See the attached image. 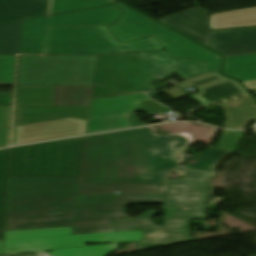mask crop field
<instances>
[{"label": "crop field", "instance_id": "8a807250", "mask_svg": "<svg viewBox=\"0 0 256 256\" xmlns=\"http://www.w3.org/2000/svg\"><path fill=\"white\" fill-rule=\"evenodd\" d=\"M187 144L181 136H152L149 127L87 137L79 184L164 183L167 169L179 166L175 151Z\"/></svg>", "mask_w": 256, "mask_h": 256}, {"label": "crop field", "instance_id": "ac0d7876", "mask_svg": "<svg viewBox=\"0 0 256 256\" xmlns=\"http://www.w3.org/2000/svg\"><path fill=\"white\" fill-rule=\"evenodd\" d=\"M78 181L10 177L6 231L72 226Z\"/></svg>", "mask_w": 256, "mask_h": 256}, {"label": "crop field", "instance_id": "34b2d1b8", "mask_svg": "<svg viewBox=\"0 0 256 256\" xmlns=\"http://www.w3.org/2000/svg\"><path fill=\"white\" fill-rule=\"evenodd\" d=\"M174 72L186 80L208 71L202 62L173 59L164 50L101 55L95 79L122 95L156 90L151 81L167 79Z\"/></svg>", "mask_w": 256, "mask_h": 256}, {"label": "crop field", "instance_id": "412701ff", "mask_svg": "<svg viewBox=\"0 0 256 256\" xmlns=\"http://www.w3.org/2000/svg\"><path fill=\"white\" fill-rule=\"evenodd\" d=\"M162 49L153 37L119 44L106 26L46 27L42 54L98 56Z\"/></svg>", "mask_w": 256, "mask_h": 256}, {"label": "crop field", "instance_id": "f4fd0767", "mask_svg": "<svg viewBox=\"0 0 256 256\" xmlns=\"http://www.w3.org/2000/svg\"><path fill=\"white\" fill-rule=\"evenodd\" d=\"M84 140L14 148L10 176L79 177ZM30 157L32 160H27Z\"/></svg>", "mask_w": 256, "mask_h": 256}, {"label": "crop field", "instance_id": "dd49c442", "mask_svg": "<svg viewBox=\"0 0 256 256\" xmlns=\"http://www.w3.org/2000/svg\"><path fill=\"white\" fill-rule=\"evenodd\" d=\"M124 12L117 24L107 26L120 43L154 36L173 58H191L206 64L209 72H219L221 57L170 29L121 5Z\"/></svg>", "mask_w": 256, "mask_h": 256}, {"label": "crop field", "instance_id": "e52e79f7", "mask_svg": "<svg viewBox=\"0 0 256 256\" xmlns=\"http://www.w3.org/2000/svg\"><path fill=\"white\" fill-rule=\"evenodd\" d=\"M97 57L20 56L18 85H92Z\"/></svg>", "mask_w": 256, "mask_h": 256}, {"label": "crop field", "instance_id": "d8731c3e", "mask_svg": "<svg viewBox=\"0 0 256 256\" xmlns=\"http://www.w3.org/2000/svg\"><path fill=\"white\" fill-rule=\"evenodd\" d=\"M72 227L5 232L4 254L87 246L88 242L123 243L142 239L140 231L70 236ZM9 250L15 252L6 253Z\"/></svg>", "mask_w": 256, "mask_h": 256}, {"label": "crop field", "instance_id": "5a996713", "mask_svg": "<svg viewBox=\"0 0 256 256\" xmlns=\"http://www.w3.org/2000/svg\"><path fill=\"white\" fill-rule=\"evenodd\" d=\"M92 86H17L16 105L90 106Z\"/></svg>", "mask_w": 256, "mask_h": 256}, {"label": "crop field", "instance_id": "3316defc", "mask_svg": "<svg viewBox=\"0 0 256 256\" xmlns=\"http://www.w3.org/2000/svg\"><path fill=\"white\" fill-rule=\"evenodd\" d=\"M88 121L66 118L15 127L13 145L86 134Z\"/></svg>", "mask_w": 256, "mask_h": 256}, {"label": "crop field", "instance_id": "28ad6ade", "mask_svg": "<svg viewBox=\"0 0 256 256\" xmlns=\"http://www.w3.org/2000/svg\"><path fill=\"white\" fill-rule=\"evenodd\" d=\"M183 89L194 86L201 93L193 95L203 105L247 94L236 81L227 79L219 73H207L178 83Z\"/></svg>", "mask_w": 256, "mask_h": 256}, {"label": "crop field", "instance_id": "d1516ede", "mask_svg": "<svg viewBox=\"0 0 256 256\" xmlns=\"http://www.w3.org/2000/svg\"><path fill=\"white\" fill-rule=\"evenodd\" d=\"M183 178L169 180L164 201L206 203L207 184L205 173L174 171Z\"/></svg>", "mask_w": 256, "mask_h": 256}, {"label": "crop field", "instance_id": "22f410ed", "mask_svg": "<svg viewBox=\"0 0 256 256\" xmlns=\"http://www.w3.org/2000/svg\"><path fill=\"white\" fill-rule=\"evenodd\" d=\"M158 21L209 47L208 11L197 7Z\"/></svg>", "mask_w": 256, "mask_h": 256}, {"label": "crop field", "instance_id": "cbeb9de0", "mask_svg": "<svg viewBox=\"0 0 256 256\" xmlns=\"http://www.w3.org/2000/svg\"><path fill=\"white\" fill-rule=\"evenodd\" d=\"M141 232L138 250L193 241L190 220H164V229Z\"/></svg>", "mask_w": 256, "mask_h": 256}, {"label": "crop field", "instance_id": "5142ce71", "mask_svg": "<svg viewBox=\"0 0 256 256\" xmlns=\"http://www.w3.org/2000/svg\"><path fill=\"white\" fill-rule=\"evenodd\" d=\"M90 107H33L17 106L15 126L76 117L88 120Z\"/></svg>", "mask_w": 256, "mask_h": 256}, {"label": "crop field", "instance_id": "d9b57169", "mask_svg": "<svg viewBox=\"0 0 256 256\" xmlns=\"http://www.w3.org/2000/svg\"><path fill=\"white\" fill-rule=\"evenodd\" d=\"M121 9L116 6L75 12L47 19L46 26H73V25H109L116 23Z\"/></svg>", "mask_w": 256, "mask_h": 256}, {"label": "crop field", "instance_id": "733c2abd", "mask_svg": "<svg viewBox=\"0 0 256 256\" xmlns=\"http://www.w3.org/2000/svg\"><path fill=\"white\" fill-rule=\"evenodd\" d=\"M211 45L224 56L256 53V30L211 35Z\"/></svg>", "mask_w": 256, "mask_h": 256}, {"label": "crop field", "instance_id": "4a817a6b", "mask_svg": "<svg viewBox=\"0 0 256 256\" xmlns=\"http://www.w3.org/2000/svg\"><path fill=\"white\" fill-rule=\"evenodd\" d=\"M145 100L150 98L144 94L93 100L90 120L133 113L137 109L136 103Z\"/></svg>", "mask_w": 256, "mask_h": 256}, {"label": "crop field", "instance_id": "bc2a9ffb", "mask_svg": "<svg viewBox=\"0 0 256 256\" xmlns=\"http://www.w3.org/2000/svg\"><path fill=\"white\" fill-rule=\"evenodd\" d=\"M227 121L223 127L234 129H245L250 121L256 120V101L249 95L223 104Z\"/></svg>", "mask_w": 256, "mask_h": 256}, {"label": "crop field", "instance_id": "214f88e0", "mask_svg": "<svg viewBox=\"0 0 256 256\" xmlns=\"http://www.w3.org/2000/svg\"><path fill=\"white\" fill-rule=\"evenodd\" d=\"M48 3L38 0H0V23L47 15Z\"/></svg>", "mask_w": 256, "mask_h": 256}, {"label": "crop field", "instance_id": "92a150f3", "mask_svg": "<svg viewBox=\"0 0 256 256\" xmlns=\"http://www.w3.org/2000/svg\"><path fill=\"white\" fill-rule=\"evenodd\" d=\"M46 19L47 17L24 21L21 53L41 54Z\"/></svg>", "mask_w": 256, "mask_h": 256}, {"label": "crop field", "instance_id": "dafd665d", "mask_svg": "<svg viewBox=\"0 0 256 256\" xmlns=\"http://www.w3.org/2000/svg\"><path fill=\"white\" fill-rule=\"evenodd\" d=\"M224 74L240 81L256 79V54L225 57Z\"/></svg>", "mask_w": 256, "mask_h": 256}, {"label": "crop field", "instance_id": "00972430", "mask_svg": "<svg viewBox=\"0 0 256 256\" xmlns=\"http://www.w3.org/2000/svg\"><path fill=\"white\" fill-rule=\"evenodd\" d=\"M256 26V7L211 16V29Z\"/></svg>", "mask_w": 256, "mask_h": 256}, {"label": "crop field", "instance_id": "a9b5d70f", "mask_svg": "<svg viewBox=\"0 0 256 256\" xmlns=\"http://www.w3.org/2000/svg\"><path fill=\"white\" fill-rule=\"evenodd\" d=\"M145 124V122H143L134 114L108 117L89 121L87 134L127 127L142 126Z\"/></svg>", "mask_w": 256, "mask_h": 256}, {"label": "crop field", "instance_id": "4177f3b9", "mask_svg": "<svg viewBox=\"0 0 256 256\" xmlns=\"http://www.w3.org/2000/svg\"><path fill=\"white\" fill-rule=\"evenodd\" d=\"M164 218H206V204L163 202Z\"/></svg>", "mask_w": 256, "mask_h": 256}, {"label": "crop field", "instance_id": "730fd06b", "mask_svg": "<svg viewBox=\"0 0 256 256\" xmlns=\"http://www.w3.org/2000/svg\"><path fill=\"white\" fill-rule=\"evenodd\" d=\"M20 22L0 25V54L17 55L19 53Z\"/></svg>", "mask_w": 256, "mask_h": 256}, {"label": "crop field", "instance_id": "eef30255", "mask_svg": "<svg viewBox=\"0 0 256 256\" xmlns=\"http://www.w3.org/2000/svg\"><path fill=\"white\" fill-rule=\"evenodd\" d=\"M126 206H108L76 209L74 221L100 220L124 217Z\"/></svg>", "mask_w": 256, "mask_h": 256}, {"label": "crop field", "instance_id": "ae1a2a85", "mask_svg": "<svg viewBox=\"0 0 256 256\" xmlns=\"http://www.w3.org/2000/svg\"><path fill=\"white\" fill-rule=\"evenodd\" d=\"M114 2H116V0H52L49 15L106 6Z\"/></svg>", "mask_w": 256, "mask_h": 256}, {"label": "crop field", "instance_id": "d3111659", "mask_svg": "<svg viewBox=\"0 0 256 256\" xmlns=\"http://www.w3.org/2000/svg\"><path fill=\"white\" fill-rule=\"evenodd\" d=\"M10 149L0 151V239H3L5 199L9 171Z\"/></svg>", "mask_w": 256, "mask_h": 256}, {"label": "crop field", "instance_id": "750c4746", "mask_svg": "<svg viewBox=\"0 0 256 256\" xmlns=\"http://www.w3.org/2000/svg\"><path fill=\"white\" fill-rule=\"evenodd\" d=\"M118 244L52 250L51 256H106L117 250Z\"/></svg>", "mask_w": 256, "mask_h": 256}, {"label": "crop field", "instance_id": "bd1437ed", "mask_svg": "<svg viewBox=\"0 0 256 256\" xmlns=\"http://www.w3.org/2000/svg\"><path fill=\"white\" fill-rule=\"evenodd\" d=\"M228 152L217 148L206 150L197 160L190 161L185 168L216 172L212 169Z\"/></svg>", "mask_w": 256, "mask_h": 256}, {"label": "crop field", "instance_id": "1d83c4d3", "mask_svg": "<svg viewBox=\"0 0 256 256\" xmlns=\"http://www.w3.org/2000/svg\"><path fill=\"white\" fill-rule=\"evenodd\" d=\"M115 232L114 220L74 223L71 235Z\"/></svg>", "mask_w": 256, "mask_h": 256}, {"label": "crop field", "instance_id": "120bbe31", "mask_svg": "<svg viewBox=\"0 0 256 256\" xmlns=\"http://www.w3.org/2000/svg\"><path fill=\"white\" fill-rule=\"evenodd\" d=\"M163 195L164 193H119L116 194L115 205L160 202Z\"/></svg>", "mask_w": 256, "mask_h": 256}, {"label": "crop field", "instance_id": "d32e631a", "mask_svg": "<svg viewBox=\"0 0 256 256\" xmlns=\"http://www.w3.org/2000/svg\"><path fill=\"white\" fill-rule=\"evenodd\" d=\"M115 194L77 196L76 208L114 205Z\"/></svg>", "mask_w": 256, "mask_h": 256}, {"label": "crop field", "instance_id": "5866460e", "mask_svg": "<svg viewBox=\"0 0 256 256\" xmlns=\"http://www.w3.org/2000/svg\"><path fill=\"white\" fill-rule=\"evenodd\" d=\"M16 56L0 55V85H13Z\"/></svg>", "mask_w": 256, "mask_h": 256}, {"label": "crop field", "instance_id": "028f5c9d", "mask_svg": "<svg viewBox=\"0 0 256 256\" xmlns=\"http://www.w3.org/2000/svg\"><path fill=\"white\" fill-rule=\"evenodd\" d=\"M244 132H232L224 131L217 148L223 149L228 152H233L236 150L240 137L245 136Z\"/></svg>", "mask_w": 256, "mask_h": 256}, {"label": "crop field", "instance_id": "e1f06a70", "mask_svg": "<svg viewBox=\"0 0 256 256\" xmlns=\"http://www.w3.org/2000/svg\"><path fill=\"white\" fill-rule=\"evenodd\" d=\"M116 231H131L136 229H159L150 220L115 222Z\"/></svg>", "mask_w": 256, "mask_h": 256}, {"label": "crop field", "instance_id": "0bd39190", "mask_svg": "<svg viewBox=\"0 0 256 256\" xmlns=\"http://www.w3.org/2000/svg\"><path fill=\"white\" fill-rule=\"evenodd\" d=\"M117 188L118 186L79 185L78 194L113 192Z\"/></svg>", "mask_w": 256, "mask_h": 256}, {"label": "crop field", "instance_id": "b80d0937", "mask_svg": "<svg viewBox=\"0 0 256 256\" xmlns=\"http://www.w3.org/2000/svg\"><path fill=\"white\" fill-rule=\"evenodd\" d=\"M118 190L162 191L158 184H119Z\"/></svg>", "mask_w": 256, "mask_h": 256}, {"label": "crop field", "instance_id": "c035e120", "mask_svg": "<svg viewBox=\"0 0 256 256\" xmlns=\"http://www.w3.org/2000/svg\"><path fill=\"white\" fill-rule=\"evenodd\" d=\"M117 96L114 92L103 86L97 80H94L91 99Z\"/></svg>", "mask_w": 256, "mask_h": 256}, {"label": "crop field", "instance_id": "c21b1889", "mask_svg": "<svg viewBox=\"0 0 256 256\" xmlns=\"http://www.w3.org/2000/svg\"><path fill=\"white\" fill-rule=\"evenodd\" d=\"M11 106H0V127H10Z\"/></svg>", "mask_w": 256, "mask_h": 256}, {"label": "crop field", "instance_id": "03da06ac", "mask_svg": "<svg viewBox=\"0 0 256 256\" xmlns=\"http://www.w3.org/2000/svg\"><path fill=\"white\" fill-rule=\"evenodd\" d=\"M10 128H0V147L8 145Z\"/></svg>", "mask_w": 256, "mask_h": 256}, {"label": "crop field", "instance_id": "b54c1fbb", "mask_svg": "<svg viewBox=\"0 0 256 256\" xmlns=\"http://www.w3.org/2000/svg\"><path fill=\"white\" fill-rule=\"evenodd\" d=\"M254 29H256V27L215 29V30H211V34L225 33V32H235V31H245V30H254Z\"/></svg>", "mask_w": 256, "mask_h": 256}, {"label": "crop field", "instance_id": "5d738f31", "mask_svg": "<svg viewBox=\"0 0 256 256\" xmlns=\"http://www.w3.org/2000/svg\"><path fill=\"white\" fill-rule=\"evenodd\" d=\"M4 256H50V253L46 251H39V252H32L28 255L10 254V255H4Z\"/></svg>", "mask_w": 256, "mask_h": 256}, {"label": "crop field", "instance_id": "d23c7cc5", "mask_svg": "<svg viewBox=\"0 0 256 256\" xmlns=\"http://www.w3.org/2000/svg\"><path fill=\"white\" fill-rule=\"evenodd\" d=\"M156 213V211H148L147 213L139 216L137 219H126V220H139V219H149L150 217H152L154 214ZM151 219V218H150ZM115 221H123V220H115Z\"/></svg>", "mask_w": 256, "mask_h": 256}, {"label": "crop field", "instance_id": "425ffa30", "mask_svg": "<svg viewBox=\"0 0 256 256\" xmlns=\"http://www.w3.org/2000/svg\"><path fill=\"white\" fill-rule=\"evenodd\" d=\"M12 96H0V105H11Z\"/></svg>", "mask_w": 256, "mask_h": 256}, {"label": "crop field", "instance_id": "25e5ab78", "mask_svg": "<svg viewBox=\"0 0 256 256\" xmlns=\"http://www.w3.org/2000/svg\"><path fill=\"white\" fill-rule=\"evenodd\" d=\"M242 83L245 84L249 90H256V80L255 81H245Z\"/></svg>", "mask_w": 256, "mask_h": 256}, {"label": "crop field", "instance_id": "73cf0c24", "mask_svg": "<svg viewBox=\"0 0 256 256\" xmlns=\"http://www.w3.org/2000/svg\"><path fill=\"white\" fill-rule=\"evenodd\" d=\"M0 95H12V93H0Z\"/></svg>", "mask_w": 256, "mask_h": 256}, {"label": "crop field", "instance_id": "89e229c0", "mask_svg": "<svg viewBox=\"0 0 256 256\" xmlns=\"http://www.w3.org/2000/svg\"><path fill=\"white\" fill-rule=\"evenodd\" d=\"M2 240H0V254H1Z\"/></svg>", "mask_w": 256, "mask_h": 256}, {"label": "crop field", "instance_id": "1f2cbd36", "mask_svg": "<svg viewBox=\"0 0 256 256\" xmlns=\"http://www.w3.org/2000/svg\"><path fill=\"white\" fill-rule=\"evenodd\" d=\"M125 217H127L126 212L124 213Z\"/></svg>", "mask_w": 256, "mask_h": 256}, {"label": "crop field", "instance_id": "dbb93151", "mask_svg": "<svg viewBox=\"0 0 256 256\" xmlns=\"http://www.w3.org/2000/svg\"><path fill=\"white\" fill-rule=\"evenodd\" d=\"M42 1H46V2H48V0H42Z\"/></svg>", "mask_w": 256, "mask_h": 256}]
</instances>
